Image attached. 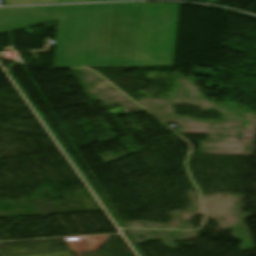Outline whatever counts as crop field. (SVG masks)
<instances>
[{
  "instance_id": "crop-field-1",
  "label": "crop field",
  "mask_w": 256,
  "mask_h": 256,
  "mask_svg": "<svg viewBox=\"0 0 256 256\" xmlns=\"http://www.w3.org/2000/svg\"><path fill=\"white\" fill-rule=\"evenodd\" d=\"M179 6L137 3L112 9L109 47H132L158 66H173Z\"/></svg>"
},
{
  "instance_id": "crop-field-2",
  "label": "crop field",
  "mask_w": 256,
  "mask_h": 256,
  "mask_svg": "<svg viewBox=\"0 0 256 256\" xmlns=\"http://www.w3.org/2000/svg\"><path fill=\"white\" fill-rule=\"evenodd\" d=\"M111 9L59 21L56 67H84L85 49H107Z\"/></svg>"
},
{
  "instance_id": "crop-field-3",
  "label": "crop field",
  "mask_w": 256,
  "mask_h": 256,
  "mask_svg": "<svg viewBox=\"0 0 256 256\" xmlns=\"http://www.w3.org/2000/svg\"><path fill=\"white\" fill-rule=\"evenodd\" d=\"M127 4L0 8V34Z\"/></svg>"
},
{
  "instance_id": "crop-field-4",
  "label": "crop field",
  "mask_w": 256,
  "mask_h": 256,
  "mask_svg": "<svg viewBox=\"0 0 256 256\" xmlns=\"http://www.w3.org/2000/svg\"><path fill=\"white\" fill-rule=\"evenodd\" d=\"M158 62L131 49L109 48L107 67L157 66Z\"/></svg>"
},
{
  "instance_id": "crop-field-5",
  "label": "crop field",
  "mask_w": 256,
  "mask_h": 256,
  "mask_svg": "<svg viewBox=\"0 0 256 256\" xmlns=\"http://www.w3.org/2000/svg\"><path fill=\"white\" fill-rule=\"evenodd\" d=\"M107 50H86L85 67H106Z\"/></svg>"
},
{
  "instance_id": "crop-field-6",
  "label": "crop field",
  "mask_w": 256,
  "mask_h": 256,
  "mask_svg": "<svg viewBox=\"0 0 256 256\" xmlns=\"http://www.w3.org/2000/svg\"><path fill=\"white\" fill-rule=\"evenodd\" d=\"M91 1H122V0H60V1H46V2H18V3H5V5H14V4H32V3H57V2H91Z\"/></svg>"
},
{
  "instance_id": "crop-field-7",
  "label": "crop field",
  "mask_w": 256,
  "mask_h": 256,
  "mask_svg": "<svg viewBox=\"0 0 256 256\" xmlns=\"http://www.w3.org/2000/svg\"><path fill=\"white\" fill-rule=\"evenodd\" d=\"M4 2H17V1H45V0H3Z\"/></svg>"
},
{
  "instance_id": "crop-field-8",
  "label": "crop field",
  "mask_w": 256,
  "mask_h": 256,
  "mask_svg": "<svg viewBox=\"0 0 256 256\" xmlns=\"http://www.w3.org/2000/svg\"><path fill=\"white\" fill-rule=\"evenodd\" d=\"M190 1H200V2H208V3H213L216 4V0H190Z\"/></svg>"
}]
</instances>
